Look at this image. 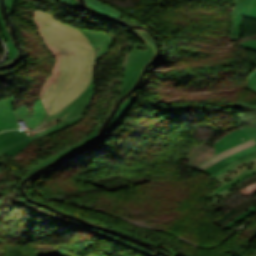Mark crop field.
<instances>
[{
    "label": "crop field",
    "mask_w": 256,
    "mask_h": 256,
    "mask_svg": "<svg viewBox=\"0 0 256 256\" xmlns=\"http://www.w3.org/2000/svg\"><path fill=\"white\" fill-rule=\"evenodd\" d=\"M52 17L34 12L38 33L55 57L53 75L45 78L39 94L48 114L59 112L86 89L95 56L91 43L80 30Z\"/></svg>",
    "instance_id": "obj_1"
},
{
    "label": "crop field",
    "mask_w": 256,
    "mask_h": 256,
    "mask_svg": "<svg viewBox=\"0 0 256 256\" xmlns=\"http://www.w3.org/2000/svg\"><path fill=\"white\" fill-rule=\"evenodd\" d=\"M130 30L146 43V48L141 47L140 44L131 43V48H130L128 58L126 61L124 74H123L122 82L120 85L119 96H118L117 100H119L128 90H130L133 87L139 74L142 71V67L147 63V61L153 56V54L157 50L156 44L149 32L143 31L140 29H130ZM117 100H116V102H117ZM102 123H98L95 130L88 137L71 145L70 147L66 148L65 150L59 152L58 154L54 155L53 157L45 160L44 162L38 164L34 168L27 171L26 174L23 176L22 180L25 177H27V175L31 174V172L37 170L38 168H40L50 162L58 160L62 157H65V156L93 143V141L95 139H97V131Z\"/></svg>",
    "instance_id": "obj_2"
},
{
    "label": "crop field",
    "mask_w": 256,
    "mask_h": 256,
    "mask_svg": "<svg viewBox=\"0 0 256 256\" xmlns=\"http://www.w3.org/2000/svg\"><path fill=\"white\" fill-rule=\"evenodd\" d=\"M255 174L256 153L249 157L236 161L233 164L228 165L221 169L220 171L216 172L215 174L211 175V177L218 181L222 186L214 189L213 192H210L202 196L205 199L210 197V199H212L213 201L207 204V207L219 201L226 195L232 193L230 189L233 185Z\"/></svg>",
    "instance_id": "obj_3"
},
{
    "label": "crop field",
    "mask_w": 256,
    "mask_h": 256,
    "mask_svg": "<svg viewBox=\"0 0 256 256\" xmlns=\"http://www.w3.org/2000/svg\"><path fill=\"white\" fill-rule=\"evenodd\" d=\"M112 42H113V37H111V36L99 41V43L94 48L95 52H96V57H95V62H94L92 80H91L88 88L83 93H81L70 105H68L66 108L61 110L59 113L50 115L47 122L41 126L42 127L41 130L47 128L48 126H50L56 122L63 121V120H66V119H69V118H72L74 116L84 113V111L88 107L92 97L94 96V92H95L94 69H95V65L97 62V58L100 55L107 53Z\"/></svg>",
    "instance_id": "obj_4"
},
{
    "label": "crop field",
    "mask_w": 256,
    "mask_h": 256,
    "mask_svg": "<svg viewBox=\"0 0 256 256\" xmlns=\"http://www.w3.org/2000/svg\"><path fill=\"white\" fill-rule=\"evenodd\" d=\"M13 107L18 119L24 120L28 128L41 126L48 116L40 99L14 100Z\"/></svg>",
    "instance_id": "obj_5"
},
{
    "label": "crop field",
    "mask_w": 256,
    "mask_h": 256,
    "mask_svg": "<svg viewBox=\"0 0 256 256\" xmlns=\"http://www.w3.org/2000/svg\"><path fill=\"white\" fill-rule=\"evenodd\" d=\"M32 140L31 134H26L25 130H9L0 133V155L4 153L14 156Z\"/></svg>",
    "instance_id": "obj_6"
},
{
    "label": "crop field",
    "mask_w": 256,
    "mask_h": 256,
    "mask_svg": "<svg viewBox=\"0 0 256 256\" xmlns=\"http://www.w3.org/2000/svg\"><path fill=\"white\" fill-rule=\"evenodd\" d=\"M255 3L256 0H234V2L229 6L230 10L232 11L233 19V28L229 40H238L242 15Z\"/></svg>",
    "instance_id": "obj_7"
},
{
    "label": "crop field",
    "mask_w": 256,
    "mask_h": 256,
    "mask_svg": "<svg viewBox=\"0 0 256 256\" xmlns=\"http://www.w3.org/2000/svg\"><path fill=\"white\" fill-rule=\"evenodd\" d=\"M215 147L213 144L205 141L194 148L187 159L190 160L188 166L195 169L197 166L215 155Z\"/></svg>",
    "instance_id": "obj_8"
},
{
    "label": "crop field",
    "mask_w": 256,
    "mask_h": 256,
    "mask_svg": "<svg viewBox=\"0 0 256 256\" xmlns=\"http://www.w3.org/2000/svg\"><path fill=\"white\" fill-rule=\"evenodd\" d=\"M243 88H247L254 93H256V85L252 86H245ZM218 106V105H215ZM225 107H236L242 109V115L237 116L239 122L241 123L243 129L249 134L253 135L256 134V127H249V128H244V122H249L252 123V125H256V107H250V106H245V105H233V106H225Z\"/></svg>",
    "instance_id": "obj_9"
},
{
    "label": "crop field",
    "mask_w": 256,
    "mask_h": 256,
    "mask_svg": "<svg viewBox=\"0 0 256 256\" xmlns=\"http://www.w3.org/2000/svg\"><path fill=\"white\" fill-rule=\"evenodd\" d=\"M12 98L0 101V131L19 128L12 109Z\"/></svg>",
    "instance_id": "obj_10"
},
{
    "label": "crop field",
    "mask_w": 256,
    "mask_h": 256,
    "mask_svg": "<svg viewBox=\"0 0 256 256\" xmlns=\"http://www.w3.org/2000/svg\"><path fill=\"white\" fill-rule=\"evenodd\" d=\"M249 139H251L250 136L243 129L236 130L230 133L229 135L225 136L224 138H222L216 144H214L217 149L216 154L222 151H225Z\"/></svg>",
    "instance_id": "obj_11"
},
{
    "label": "crop field",
    "mask_w": 256,
    "mask_h": 256,
    "mask_svg": "<svg viewBox=\"0 0 256 256\" xmlns=\"http://www.w3.org/2000/svg\"><path fill=\"white\" fill-rule=\"evenodd\" d=\"M256 152V145L247 149H244L236 154H233L229 157H226L214 164H212L210 167H208L207 169H205L203 172H205L208 175H211L213 173H215L216 171L220 170L222 167L236 161L239 160L241 158H244L252 153Z\"/></svg>",
    "instance_id": "obj_12"
},
{
    "label": "crop field",
    "mask_w": 256,
    "mask_h": 256,
    "mask_svg": "<svg viewBox=\"0 0 256 256\" xmlns=\"http://www.w3.org/2000/svg\"><path fill=\"white\" fill-rule=\"evenodd\" d=\"M82 118H84V117L79 116V117L73 118V119L68 120V121L60 122L61 125H58L59 123L55 124L52 127L44 130V132H41V133H32V132H30V133L32 134V136L35 140L40 139V138H44V137H46V136H48V135H50V134H52V133L70 125V124H72V123H75V122L79 121Z\"/></svg>",
    "instance_id": "obj_13"
},
{
    "label": "crop field",
    "mask_w": 256,
    "mask_h": 256,
    "mask_svg": "<svg viewBox=\"0 0 256 256\" xmlns=\"http://www.w3.org/2000/svg\"><path fill=\"white\" fill-rule=\"evenodd\" d=\"M86 3L98 13L117 17L121 12L99 2L98 0H85Z\"/></svg>",
    "instance_id": "obj_14"
},
{
    "label": "crop field",
    "mask_w": 256,
    "mask_h": 256,
    "mask_svg": "<svg viewBox=\"0 0 256 256\" xmlns=\"http://www.w3.org/2000/svg\"><path fill=\"white\" fill-rule=\"evenodd\" d=\"M0 26H1L2 30H3V31H0V35H1V37L4 36V38L8 42V43H6L8 49H9V54H8L7 58L8 59L14 58L15 54H16V48H15V45H14V43L12 41V38L9 35V27L5 25L4 19L2 18L1 13H0Z\"/></svg>",
    "instance_id": "obj_15"
},
{
    "label": "crop field",
    "mask_w": 256,
    "mask_h": 256,
    "mask_svg": "<svg viewBox=\"0 0 256 256\" xmlns=\"http://www.w3.org/2000/svg\"><path fill=\"white\" fill-rule=\"evenodd\" d=\"M256 210V207L253 205L250 206L249 208L245 209L244 211L240 212L237 216H235L232 220L227 222L222 226L223 229H229L233 227L235 224L239 223L242 219L246 218L249 216L251 213H253Z\"/></svg>",
    "instance_id": "obj_16"
},
{
    "label": "crop field",
    "mask_w": 256,
    "mask_h": 256,
    "mask_svg": "<svg viewBox=\"0 0 256 256\" xmlns=\"http://www.w3.org/2000/svg\"><path fill=\"white\" fill-rule=\"evenodd\" d=\"M57 1H60V0H57ZM61 1L65 3L67 6L74 9L75 11L80 7V5L76 3V0H61ZM13 4H14V0H6L9 16H12Z\"/></svg>",
    "instance_id": "obj_17"
},
{
    "label": "crop field",
    "mask_w": 256,
    "mask_h": 256,
    "mask_svg": "<svg viewBox=\"0 0 256 256\" xmlns=\"http://www.w3.org/2000/svg\"><path fill=\"white\" fill-rule=\"evenodd\" d=\"M81 31L90 39L93 47H95V45L99 40L108 36L107 34L101 33V32L85 31V30H81Z\"/></svg>",
    "instance_id": "obj_18"
},
{
    "label": "crop field",
    "mask_w": 256,
    "mask_h": 256,
    "mask_svg": "<svg viewBox=\"0 0 256 256\" xmlns=\"http://www.w3.org/2000/svg\"><path fill=\"white\" fill-rule=\"evenodd\" d=\"M243 46L249 47V48H256V39L248 40L244 43H242ZM256 83V72L250 76L248 85L255 84Z\"/></svg>",
    "instance_id": "obj_19"
},
{
    "label": "crop field",
    "mask_w": 256,
    "mask_h": 256,
    "mask_svg": "<svg viewBox=\"0 0 256 256\" xmlns=\"http://www.w3.org/2000/svg\"><path fill=\"white\" fill-rule=\"evenodd\" d=\"M101 224H102V223H101ZM103 225H106V224H103ZM107 226H109V225H107ZM110 227H112V226H110ZM112 228H114V227H112ZM115 229H117V228H115ZM117 230H120V229H117ZM120 231L125 232V231H123V230H120ZM125 233L130 234V235H132V236H135V237H137V238H139V239H141V240H145V241L152 242L153 244H156V245L162 247L164 251L168 252V253L171 254L172 256H178V255H179L178 253H176V252H174V251H172V250H170V249H168V248H166V247H164V246H162V245H160V244H158V243H156V242H154V241L148 240V239L143 238V237H140V236H138V235H133V234L128 233V232H125Z\"/></svg>",
    "instance_id": "obj_20"
},
{
    "label": "crop field",
    "mask_w": 256,
    "mask_h": 256,
    "mask_svg": "<svg viewBox=\"0 0 256 256\" xmlns=\"http://www.w3.org/2000/svg\"><path fill=\"white\" fill-rule=\"evenodd\" d=\"M132 98H133V95H131V96L127 99V101H125V102H123V103L121 104V106H120V108H119V110H118V112H117V114H116V116H115V118H114L112 124L110 125V127H111V126L114 124V122L121 116V114L126 110V108L128 107V105L130 104ZM110 127H109V128H110ZM109 128H108V130H109ZM108 130H107V131H108ZM107 131H106V132H107Z\"/></svg>",
    "instance_id": "obj_21"
},
{
    "label": "crop field",
    "mask_w": 256,
    "mask_h": 256,
    "mask_svg": "<svg viewBox=\"0 0 256 256\" xmlns=\"http://www.w3.org/2000/svg\"><path fill=\"white\" fill-rule=\"evenodd\" d=\"M243 16L256 18V4L248 12H246Z\"/></svg>",
    "instance_id": "obj_22"
},
{
    "label": "crop field",
    "mask_w": 256,
    "mask_h": 256,
    "mask_svg": "<svg viewBox=\"0 0 256 256\" xmlns=\"http://www.w3.org/2000/svg\"><path fill=\"white\" fill-rule=\"evenodd\" d=\"M3 75H2V73L0 72V77H2Z\"/></svg>",
    "instance_id": "obj_23"
},
{
    "label": "crop field",
    "mask_w": 256,
    "mask_h": 256,
    "mask_svg": "<svg viewBox=\"0 0 256 256\" xmlns=\"http://www.w3.org/2000/svg\"><path fill=\"white\" fill-rule=\"evenodd\" d=\"M255 140H256V138H255Z\"/></svg>",
    "instance_id": "obj_24"
}]
</instances>
